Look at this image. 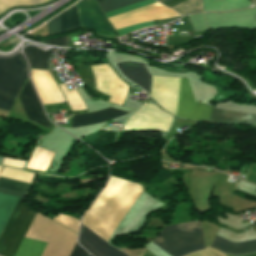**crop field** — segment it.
Wrapping results in <instances>:
<instances>
[{
	"label": "crop field",
	"mask_w": 256,
	"mask_h": 256,
	"mask_svg": "<svg viewBox=\"0 0 256 256\" xmlns=\"http://www.w3.org/2000/svg\"><path fill=\"white\" fill-rule=\"evenodd\" d=\"M173 116L155 104L145 103L126 122L123 129H146L167 131Z\"/></svg>",
	"instance_id": "e52e79f7"
},
{
	"label": "crop field",
	"mask_w": 256,
	"mask_h": 256,
	"mask_svg": "<svg viewBox=\"0 0 256 256\" xmlns=\"http://www.w3.org/2000/svg\"><path fill=\"white\" fill-rule=\"evenodd\" d=\"M0 192H2V193H7V194H11V195H16V196H20V197H24V198L27 197V194L15 192V191L3 189V188H0Z\"/></svg>",
	"instance_id": "120bbe31"
},
{
	"label": "crop field",
	"mask_w": 256,
	"mask_h": 256,
	"mask_svg": "<svg viewBox=\"0 0 256 256\" xmlns=\"http://www.w3.org/2000/svg\"><path fill=\"white\" fill-rule=\"evenodd\" d=\"M2 164L13 166V167L23 168L24 165H25V162L24 161H18V160H12V159L4 158Z\"/></svg>",
	"instance_id": "750c4746"
},
{
	"label": "crop field",
	"mask_w": 256,
	"mask_h": 256,
	"mask_svg": "<svg viewBox=\"0 0 256 256\" xmlns=\"http://www.w3.org/2000/svg\"><path fill=\"white\" fill-rule=\"evenodd\" d=\"M86 251H84L81 247H79L77 244L71 254V256H85L86 255Z\"/></svg>",
	"instance_id": "1d83c4d3"
},
{
	"label": "crop field",
	"mask_w": 256,
	"mask_h": 256,
	"mask_svg": "<svg viewBox=\"0 0 256 256\" xmlns=\"http://www.w3.org/2000/svg\"><path fill=\"white\" fill-rule=\"evenodd\" d=\"M96 1H97V2H98V4H99V3H101L103 0H96Z\"/></svg>",
	"instance_id": "5866460e"
},
{
	"label": "crop field",
	"mask_w": 256,
	"mask_h": 256,
	"mask_svg": "<svg viewBox=\"0 0 256 256\" xmlns=\"http://www.w3.org/2000/svg\"><path fill=\"white\" fill-rule=\"evenodd\" d=\"M176 12L161 5L159 2L109 18L115 30L127 26L162 20L167 18L179 17Z\"/></svg>",
	"instance_id": "dd49c442"
},
{
	"label": "crop field",
	"mask_w": 256,
	"mask_h": 256,
	"mask_svg": "<svg viewBox=\"0 0 256 256\" xmlns=\"http://www.w3.org/2000/svg\"><path fill=\"white\" fill-rule=\"evenodd\" d=\"M77 6L82 29L94 28L99 35L116 38L113 28L94 0L85 1Z\"/></svg>",
	"instance_id": "5a996713"
},
{
	"label": "crop field",
	"mask_w": 256,
	"mask_h": 256,
	"mask_svg": "<svg viewBox=\"0 0 256 256\" xmlns=\"http://www.w3.org/2000/svg\"><path fill=\"white\" fill-rule=\"evenodd\" d=\"M0 176L31 184L34 174L20 169L4 167Z\"/></svg>",
	"instance_id": "bc2a9ffb"
},
{
	"label": "crop field",
	"mask_w": 256,
	"mask_h": 256,
	"mask_svg": "<svg viewBox=\"0 0 256 256\" xmlns=\"http://www.w3.org/2000/svg\"><path fill=\"white\" fill-rule=\"evenodd\" d=\"M2 166H0V170H1Z\"/></svg>",
	"instance_id": "028f5c9d"
},
{
	"label": "crop field",
	"mask_w": 256,
	"mask_h": 256,
	"mask_svg": "<svg viewBox=\"0 0 256 256\" xmlns=\"http://www.w3.org/2000/svg\"><path fill=\"white\" fill-rule=\"evenodd\" d=\"M179 78L153 76L151 98L175 115ZM212 107L195 103L188 80L180 78L176 116L207 121Z\"/></svg>",
	"instance_id": "ac0d7876"
},
{
	"label": "crop field",
	"mask_w": 256,
	"mask_h": 256,
	"mask_svg": "<svg viewBox=\"0 0 256 256\" xmlns=\"http://www.w3.org/2000/svg\"><path fill=\"white\" fill-rule=\"evenodd\" d=\"M20 198L0 237L2 256H41L46 243L24 238L36 213Z\"/></svg>",
	"instance_id": "34b2d1b8"
},
{
	"label": "crop field",
	"mask_w": 256,
	"mask_h": 256,
	"mask_svg": "<svg viewBox=\"0 0 256 256\" xmlns=\"http://www.w3.org/2000/svg\"><path fill=\"white\" fill-rule=\"evenodd\" d=\"M45 1H49V0H45ZM45 1H44V2H45Z\"/></svg>",
	"instance_id": "0bd39190"
},
{
	"label": "crop field",
	"mask_w": 256,
	"mask_h": 256,
	"mask_svg": "<svg viewBox=\"0 0 256 256\" xmlns=\"http://www.w3.org/2000/svg\"><path fill=\"white\" fill-rule=\"evenodd\" d=\"M188 256H227V255L221 254V253H219V252H217V251H215L211 248H208V249L193 253V254L188 255ZM245 256H256V253L251 254V255H245Z\"/></svg>",
	"instance_id": "eef30255"
},
{
	"label": "crop field",
	"mask_w": 256,
	"mask_h": 256,
	"mask_svg": "<svg viewBox=\"0 0 256 256\" xmlns=\"http://www.w3.org/2000/svg\"><path fill=\"white\" fill-rule=\"evenodd\" d=\"M126 113L127 112L119 111L113 108H108L103 111H99L95 113L79 114L74 116L72 127H81V126L93 125L98 122H105Z\"/></svg>",
	"instance_id": "22f410ed"
},
{
	"label": "crop field",
	"mask_w": 256,
	"mask_h": 256,
	"mask_svg": "<svg viewBox=\"0 0 256 256\" xmlns=\"http://www.w3.org/2000/svg\"><path fill=\"white\" fill-rule=\"evenodd\" d=\"M96 78V89L111 96L109 102L123 105L129 86L117 77L108 64L91 66ZM122 86V88H120Z\"/></svg>",
	"instance_id": "d8731c3e"
},
{
	"label": "crop field",
	"mask_w": 256,
	"mask_h": 256,
	"mask_svg": "<svg viewBox=\"0 0 256 256\" xmlns=\"http://www.w3.org/2000/svg\"><path fill=\"white\" fill-rule=\"evenodd\" d=\"M152 242L172 256H184L205 249L198 221L165 227Z\"/></svg>",
	"instance_id": "412701ff"
},
{
	"label": "crop field",
	"mask_w": 256,
	"mask_h": 256,
	"mask_svg": "<svg viewBox=\"0 0 256 256\" xmlns=\"http://www.w3.org/2000/svg\"><path fill=\"white\" fill-rule=\"evenodd\" d=\"M19 98L29 121L50 127L40 101L36 96L29 79Z\"/></svg>",
	"instance_id": "3316defc"
},
{
	"label": "crop field",
	"mask_w": 256,
	"mask_h": 256,
	"mask_svg": "<svg viewBox=\"0 0 256 256\" xmlns=\"http://www.w3.org/2000/svg\"><path fill=\"white\" fill-rule=\"evenodd\" d=\"M27 62L21 53L0 58V108L11 110L25 80Z\"/></svg>",
	"instance_id": "f4fd0767"
},
{
	"label": "crop field",
	"mask_w": 256,
	"mask_h": 256,
	"mask_svg": "<svg viewBox=\"0 0 256 256\" xmlns=\"http://www.w3.org/2000/svg\"><path fill=\"white\" fill-rule=\"evenodd\" d=\"M209 122L220 124H251L256 127V114L237 113L214 108Z\"/></svg>",
	"instance_id": "28ad6ade"
},
{
	"label": "crop field",
	"mask_w": 256,
	"mask_h": 256,
	"mask_svg": "<svg viewBox=\"0 0 256 256\" xmlns=\"http://www.w3.org/2000/svg\"><path fill=\"white\" fill-rule=\"evenodd\" d=\"M212 247L226 254L253 253L256 252V240L235 243L217 235Z\"/></svg>",
	"instance_id": "5142ce71"
},
{
	"label": "crop field",
	"mask_w": 256,
	"mask_h": 256,
	"mask_svg": "<svg viewBox=\"0 0 256 256\" xmlns=\"http://www.w3.org/2000/svg\"><path fill=\"white\" fill-rule=\"evenodd\" d=\"M142 190L140 185L110 176L103 191L85 213L82 224L107 241ZM84 225L79 241L94 256H127Z\"/></svg>",
	"instance_id": "8a807250"
},
{
	"label": "crop field",
	"mask_w": 256,
	"mask_h": 256,
	"mask_svg": "<svg viewBox=\"0 0 256 256\" xmlns=\"http://www.w3.org/2000/svg\"><path fill=\"white\" fill-rule=\"evenodd\" d=\"M59 86L64 93L72 111L86 109L76 89L69 91L68 88L64 86V84H61Z\"/></svg>",
	"instance_id": "214f88e0"
},
{
	"label": "crop field",
	"mask_w": 256,
	"mask_h": 256,
	"mask_svg": "<svg viewBox=\"0 0 256 256\" xmlns=\"http://www.w3.org/2000/svg\"><path fill=\"white\" fill-rule=\"evenodd\" d=\"M84 0H81L82 2ZM78 2V3H80ZM81 28L77 13L76 4L71 8L61 13V33L75 31Z\"/></svg>",
	"instance_id": "4a817a6b"
},
{
	"label": "crop field",
	"mask_w": 256,
	"mask_h": 256,
	"mask_svg": "<svg viewBox=\"0 0 256 256\" xmlns=\"http://www.w3.org/2000/svg\"><path fill=\"white\" fill-rule=\"evenodd\" d=\"M19 198L0 193V235L7 224Z\"/></svg>",
	"instance_id": "733c2abd"
},
{
	"label": "crop field",
	"mask_w": 256,
	"mask_h": 256,
	"mask_svg": "<svg viewBox=\"0 0 256 256\" xmlns=\"http://www.w3.org/2000/svg\"><path fill=\"white\" fill-rule=\"evenodd\" d=\"M44 0H0V14L7 10L9 7L16 5H33L42 3Z\"/></svg>",
	"instance_id": "00972430"
},
{
	"label": "crop field",
	"mask_w": 256,
	"mask_h": 256,
	"mask_svg": "<svg viewBox=\"0 0 256 256\" xmlns=\"http://www.w3.org/2000/svg\"><path fill=\"white\" fill-rule=\"evenodd\" d=\"M48 35L60 33V15L47 22Z\"/></svg>",
	"instance_id": "730fd06b"
},
{
	"label": "crop field",
	"mask_w": 256,
	"mask_h": 256,
	"mask_svg": "<svg viewBox=\"0 0 256 256\" xmlns=\"http://www.w3.org/2000/svg\"><path fill=\"white\" fill-rule=\"evenodd\" d=\"M245 178L256 182V166L251 165V167L249 168Z\"/></svg>",
	"instance_id": "bd1437ed"
},
{
	"label": "crop field",
	"mask_w": 256,
	"mask_h": 256,
	"mask_svg": "<svg viewBox=\"0 0 256 256\" xmlns=\"http://www.w3.org/2000/svg\"><path fill=\"white\" fill-rule=\"evenodd\" d=\"M155 25L154 22H150V23H145V24H140V25H136V26H132L129 28H125V29H121V30H117V33L119 34V36H122L132 30L138 29V28H144V27H149Z\"/></svg>",
	"instance_id": "ae1a2a85"
},
{
	"label": "crop field",
	"mask_w": 256,
	"mask_h": 256,
	"mask_svg": "<svg viewBox=\"0 0 256 256\" xmlns=\"http://www.w3.org/2000/svg\"><path fill=\"white\" fill-rule=\"evenodd\" d=\"M53 220L61 223L62 225L66 226L69 229L78 233L79 221H77L69 216L62 215L60 213H58V215Z\"/></svg>",
	"instance_id": "a9b5d70f"
},
{
	"label": "crop field",
	"mask_w": 256,
	"mask_h": 256,
	"mask_svg": "<svg viewBox=\"0 0 256 256\" xmlns=\"http://www.w3.org/2000/svg\"><path fill=\"white\" fill-rule=\"evenodd\" d=\"M123 75L130 79L135 84L146 89L149 93L151 77L144 68L143 64L121 62L117 64Z\"/></svg>",
	"instance_id": "d1516ede"
},
{
	"label": "crop field",
	"mask_w": 256,
	"mask_h": 256,
	"mask_svg": "<svg viewBox=\"0 0 256 256\" xmlns=\"http://www.w3.org/2000/svg\"><path fill=\"white\" fill-rule=\"evenodd\" d=\"M154 2H156V1H154V0L144 1V2H141V3L135 4V5H132V6H128V7L116 10V11H112V12L106 13V16L108 18V17H111V16H114V15H117V14L129 11V10H132V9H136V8H139V7H142V6L154 3Z\"/></svg>",
	"instance_id": "4177f3b9"
},
{
	"label": "crop field",
	"mask_w": 256,
	"mask_h": 256,
	"mask_svg": "<svg viewBox=\"0 0 256 256\" xmlns=\"http://www.w3.org/2000/svg\"><path fill=\"white\" fill-rule=\"evenodd\" d=\"M87 256H90L89 254H87Z\"/></svg>",
	"instance_id": "e1f06a70"
},
{
	"label": "crop field",
	"mask_w": 256,
	"mask_h": 256,
	"mask_svg": "<svg viewBox=\"0 0 256 256\" xmlns=\"http://www.w3.org/2000/svg\"><path fill=\"white\" fill-rule=\"evenodd\" d=\"M43 42L48 43V44H56V45L68 46V44H69V36L61 37V38H56V39H50V40H44Z\"/></svg>",
	"instance_id": "d3111659"
},
{
	"label": "crop field",
	"mask_w": 256,
	"mask_h": 256,
	"mask_svg": "<svg viewBox=\"0 0 256 256\" xmlns=\"http://www.w3.org/2000/svg\"><path fill=\"white\" fill-rule=\"evenodd\" d=\"M139 1H142V0H105L99 5L103 9L104 13H106L111 10L129 5V4H133Z\"/></svg>",
	"instance_id": "dafd665d"
},
{
	"label": "crop field",
	"mask_w": 256,
	"mask_h": 256,
	"mask_svg": "<svg viewBox=\"0 0 256 256\" xmlns=\"http://www.w3.org/2000/svg\"><path fill=\"white\" fill-rule=\"evenodd\" d=\"M57 223L37 213L26 238L48 242Z\"/></svg>",
	"instance_id": "cbeb9de0"
},
{
	"label": "crop field",
	"mask_w": 256,
	"mask_h": 256,
	"mask_svg": "<svg viewBox=\"0 0 256 256\" xmlns=\"http://www.w3.org/2000/svg\"><path fill=\"white\" fill-rule=\"evenodd\" d=\"M51 50L43 52L40 49L27 46L24 48V54L29 61L30 67L36 69H48V57Z\"/></svg>",
	"instance_id": "d9b57169"
},
{
	"label": "crop field",
	"mask_w": 256,
	"mask_h": 256,
	"mask_svg": "<svg viewBox=\"0 0 256 256\" xmlns=\"http://www.w3.org/2000/svg\"><path fill=\"white\" fill-rule=\"evenodd\" d=\"M30 186L31 185H29V184H25V183H21V182H17V181H13V180H9V179L0 177V187H3V188H7V189H11V190H15V191H19V192L28 194Z\"/></svg>",
	"instance_id": "92a150f3"
},
{
	"label": "crop field",
	"mask_w": 256,
	"mask_h": 256,
	"mask_svg": "<svg viewBox=\"0 0 256 256\" xmlns=\"http://www.w3.org/2000/svg\"><path fill=\"white\" fill-rule=\"evenodd\" d=\"M158 1L161 2L162 4H164V3H166V2H168L170 0H158Z\"/></svg>",
	"instance_id": "d32e631a"
}]
</instances>
